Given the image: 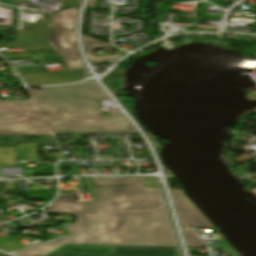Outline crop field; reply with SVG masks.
I'll use <instances>...</instances> for the list:
<instances>
[{
    "instance_id": "10",
    "label": "crop field",
    "mask_w": 256,
    "mask_h": 256,
    "mask_svg": "<svg viewBox=\"0 0 256 256\" xmlns=\"http://www.w3.org/2000/svg\"><path fill=\"white\" fill-rule=\"evenodd\" d=\"M98 185L143 184L141 177L133 178H97Z\"/></svg>"
},
{
    "instance_id": "20",
    "label": "crop field",
    "mask_w": 256,
    "mask_h": 256,
    "mask_svg": "<svg viewBox=\"0 0 256 256\" xmlns=\"http://www.w3.org/2000/svg\"><path fill=\"white\" fill-rule=\"evenodd\" d=\"M0 59H3V58L0 57Z\"/></svg>"
},
{
    "instance_id": "13",
    "label": "crop field",
    "mask_w": 256,
    "mask_h": 256,
    "mask_svg": "<svg viewBox=\"0 0 256 256\" xmlns=\"http://www.w3.org/2000/svg\"><path fill=\"white\" fill-rule=\"evenodd\" d=\"M20 73L43 72L41 66L17 68Z\"/></svg>"
},
{
    "instance_id": "4",
    "label": "crop field",
    "mask_w": 256,
    "mask_h": 256,
    "mask_svg": "<svg viewBox=\"0 0 256 256\" xmlns=\"http://www.w3.org/2000/svg\"><path fill=\"white\" fill-rule=\"evenodd\" d=\"M45 256H180L177 247L65 244Z\"/></svg>"
},
{
    "instance_id": "19",
    "label": "crop field",
    "mask_w": 256,
    "mask_h": 256,
    "mask_svg": "<svg viewBox=\"0 0 256 256\" xmlns=\"http://www.w3.org/2000/svg\"><path fill=\"white\" fill-rule=\"evenodd\" d=\"M0 256H8V255H6V254H4V253H0Z\"/></svg>"
},
{
    "instance_id": "12",
    "label": "crop field",
    "mask_w": 256,
    "mask_h": 256,
    "mask_svg": "<svg viewBox=\"0 0 256 256\" xmlns=\"http://www.w3.org/2000/svg\"><path fill=\"white\" fill-rule=\"evenodd\" d=\"M188 246H204L189 228H183Z\"/></svg>"
},
{
    "instance_id": "18",
    "label": "crop field",
    "mask_w": 256,
    "mask_h": 256,
    "mask_svg": "<svg viewBox=\"0 0 256 256\" xmlns=\"http://www.w3.org/2000/svg\"><path fill=\"white\" fill-rule=\"evenodd\" d=\"M97 1L98 0H90L89 1V7H95Z\"/></svg>"
},
{
    "instance_id": "9",
    "label": "crop field",
    "mask_w": 256,
    "mask_h": 256,
    "mask_svg": "<svg viewBox=\"0 0 256 256\" xmlns=\"http://www.w3.org/2000/svg\"><path fill=\"white\" fill-rule=\"evenodd\" d=\"M84 182L89 192L93 195V201H95L92 178H87L86 180H84ZM91 202H76L73 198V195H67L59 196L58 200L55 203L49 205V207L52 208L54 211L59 212H76L81 208L85 207L86 205L90 204Z\"/></svg>"
},
{
    "instance_id": "14",
    "label": "crop field",
    "mask_w": 256,
    "mask_h": 256,
    "mask_svg": "<svg viewBox=\"0 0 256 256\" xmlns=\"http://www.w3.org/2000/svg\"><path fill=\"white\" fill-rule=\"evenodd\" d=\"M4 57L8 60L31 58L30 53L5 55Z\"/></svg>"
},
{
    "instance_id": "6",
    "label": "crop field",
    "mask_w": 256,
    "mask_h": 256,
    "mask_svg": "<svg viewBox=\"0 0 256 256\" xmlns=\"http://www.w3.org/2000/svg\"><path fill=\"white\" fill-rule=\"evenodd\" d=\"M182 227L212 226L207 218L183 195L181 190H170Z\"/></svg>"
},
{
    "instance_id": "3",
    "label": "crop field",
    "mask_w": 256,
    "mask_h": 256,
    "mask_svg": "<svg viewBox=\"0 0 256 256\" xmlns=\"http://www.w3.org/2000/svg\"><path fill=\"white\" fill-rule=\"evenodd\" d=\"M50 134L32 100L0 101V135Z\"/></svg>"
},
{
    "instance_id": "1",
    "label": "crop field",
    "mask_w": 256,
    "mask_h": 256,
    "mask_svg": "<svg viewBox=\"0 0 256 256\" xmlns=\"http://www.w3.org/2000/svg\"><path fill=\"white\" fill-rule=\"evenodd\" d=\"M96 201L76 213L75 224L85 228L58 240L16 253L42 256L65 243L177 246L170 231L159 190L139 186L95 189Z\"/></svg>"
},
{
    "instance_id": "16",
    "label": "crop field",
    "mask_w": 256,
    "mask_h": 256,
    "mask_svg": "<svg viewBox=\"0 0 256 256\" xmlns=\"http://www.w3.org/2000/svg\"><path fill=\"white\" fill-rule=\"evenodd\" d=\"M246 195L252 205L256 208V188L246 192Z\"/></svg>"
},
{
    "instance_id": "17",
    "label": "crop field",
    "mask_w": 256,
    "mask_h": 256,
    "mask_svg": "<svg viewBox=\"0 0 256 256\" xmlns=\"http://www.w3.org/2000/svg\"><path fill=\"white\" fill-rule=\"evenodd\" d=\"M8 236L0 238V248L3 247L5 241L7 240Z\"/></svg>"
},
{
    "instance_id": "2",
    "label": "crop field",
    "mask_w": 256,
    "mask_h": 256,
    "mask_svg": "<svg viewBox=\"0 0 256 256\" xmlns=\"http://www.w3.org/2000/svg\"><path fill=\"white\" fill-rule=\"evenodd\" d=\"M41 90L29 89L54 134L137 133L124 116H102L95 101L109 98L90 80Z\"/></svg>"
},
{
    "instance_id": "15",
    "label": "crop field",
    "mask_w": 256,
    "mask_h": 256,
    "mask_svg": "<svg viewBox=\"0 0 256 256\" xmlns=\"http://www.w3.org/2000/svg\"><path fill=\"white\" fill-rule=\"evenodd\" d=\"M67 69L71 70V69H79L82 68V63L80 60L77 61H69V62H65Z\"/></svg>"
},
{
    "instance_id": "11",
    "label": "crop field",
    "mask_w": 256,
    "mask_h": 256,
    "mask_svg": "<svg viewBox=\"0 0 256 256\" xmlns=\"http://www.w3.org/2000/svg\"><path fill=\"white\" fill-rule=\"evenodd\" d=\"M83 42H84V47L86 50V53L88 56H94L92 51L98 48H111L112 46L110 44L92 39L90 37L87 36H83Z\"/></svg>"
},
{
    "instance_id": "8",
    "label": "crop field",
    "mask_w": 256,
    "mask_h": 256,
    "mask_svg": "<svg viewBox=\"0 0 256 256\" xmlns=\"http://www.w3.org/2000/svg\"><path fill=\"white\" fill-rule=\"evenodd\" d=\"M46 73V75H42ZM33 74H21L26 84L45 85V84H60L68 82H76L84 78L82 69L72 71H56V72H43ZM78 73V75H75Z\"/></svg>"
},
{
    "instance_id": "5",
    "label": "crop field",
    "mask_w": 256,
    "mask_h": 256,
    "mask_svg": "<svg viewBox=\"0 0 256 256\" xmlns=\"http://www.w3.org/2000/svg\"><path fill=\"white\" fill-rule=\"evenodd\" d=\"M49 23H26L19 31L18 45L0 46V48L24 46L26 52L52 50L48 41Z\"/></svg>"
},
{
    "instance_id": "7",
    "label": "crop field",
    "mask_w": 256,
    "mask_h": 256,
    "mask_svg": "<svg viewBox=\"0 0 256 256\" xmlns=\"http://www.w3.org/2000/svg\"><path fill=\"white\" fill-rule=\"evenodd\" d=\"M49 43L65 61L80 59L74 32L50 24Z\"/></svg>"
}]
</instances>
